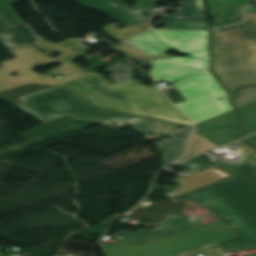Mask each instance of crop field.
Returning a JSON list of instances; mask_svg holds the SVG:
<instances>
[{
	"mask_svg": "<svg viewBox=\"0 0 256 256\" xmlns=\"http://www.w3.org/2000/svg\"><path fill=\"white\" fill-rule=\"evenodd\" d=\"M179 5V11H175L174 15L159 16L163 18L160 22L166 24L173 21L208 20L204 0H182Z\"/></svg>",
	"mask_w": 256,
	"mask_h": 256,
	"instance_id": "5142ce71",
	"label": "crop field"
},
{
	"mask_svg": "<svg viewBox=\"0 0 256 256\" xmlns=\"http://www.w3.org/2000/svg\"><path fill=\"white\" fill-rule=\"evenodd\" d=\"M21 35H23L30 42L40 39L30 27H28L24 22H20L19 26L14 27Z\"/></svg>",
	"mask_w": 256,
	"mask_h": 256,
	"instance_id": "730fd06b",
	"label": "crop field"
},
{
	"mask_svg": "<svg viewBox=\"0 0 256 256\" xmlns=\"http://www.w3.org/2000/svg\"><path fill=\"white\" fill-rule=\"evenodd\" d=\"M59 86L89 105L119 114L192 124L158 89L146 88L131 78L111 86L96 73Z\"/></svg>",
	"mask_w": 256,
	"mask_h": 256,
	"instance_id": "ac0d7876",
	"label": "crop field"
},
{
	"mask_svg": "<svg viewBox=\"0 0 256 256\" xmlns=\"http://www.w3.org/2000/svg\"><path fill=\"white\" fill-rule=\"evenodd\" d=\"M19 0H0V15L12 26L19 24L21 17L9 5Z\"/></svg>",
	"mask_w": 256,
	"mask_h": 256,
	"instance_id": "214f88e0",
	"label": "crop field"
},
{
	"mask_svg": "<svg viewBox=\"0 0 256 256\" xmlns=\"http://www.w3.org/2000/svg\"><path fill=\"white\" fill-rule=\"evenodd\" d=\"M199 253H202L203 256H210L211 254H213V256H221L218 243L209 245V246H205V247H201V248H197V249L187 251V252H184L181 254H177L176 256H196V254H199Z\"/></svg>",
	"mask_w": 256,
	"mask_h": 256,
	"instance_id": "00972430",
	"label": "crop field"
},
{
	"mask_svg": "<svg viewBox=\"0 0 256 256\" xmlns=\"http://www.w3.org/2000/svg\"><path fill=\"white\" fill-rule=\"evenodd\" d=\"M193 130V127H188L184 130L172 134L171 138L163 139V141L160 142H155L158 149L163 154L162 167L170 164L182 154L186 140Z\"/></svg>",
	"mask_w": 256,
	"mask_h": 256,
	"instance_id": "cbeb9de0",
	"label": "crop field"
},
{
	"mask_svg": "<svg viewBox=\"0 0 256 256\" xmlns=\"http://www.w3.org/2000/svg\"><path fill=\"white\" fill-rule=\"evenodd\" d=\"M195 134L220 146L236 140L241 135L240 120L237 110L234 109L196 125Z\"/></svg>",
	"mask_w": 256,
	"mask_h": 256,
	"instance_id": "28ad6ade",
	"label": "crop field"
},
{
	"mask_svg": "<svg viewBox=\"0 0 256 256\" xmlns=\"http://www.w3.org/2000/svg\"><path fill=\"white\" fill-rule=\"evenodd\" d=\"M172 85L187 100L176 106L196 124L234 109L230 95L211 71L179 80ZM218 98L223 100L217 101Z\"/></svg>",
	"mask_w": 256,
	"mask_h": 256,
	"instance_id": "f4fd0767",
	"label": "crop field"
},
{
	"mask_svg": "<svg viewBox=\"0 0 256 256\" xmlns=\"http://www.w3.org/2000/svg\"><path fill=\"white\" fill-rule=\"evenodd\" d=\"M0 26L2 28L10 27L1 17H0Z\"/></svg>",
	"mask_w": 256,
	"mask_h": 256,
	"instance_id": "1d83c4d3",
	"label": "crop field"
},
{
	"mask_svg": "<svg viewBox=\"0 0 256 256\" xmlns=\"http://www.w3.org/2000/svg\"><path fill=\"white\" fill-rule=\"evenodd\" d=\"M176 124L147 119L142 122L131 125L137 134L153 132L154 134L161 132L163 135L178 130Z\"/></svg>",
	"mask_w": 256,
	"mask_h": 256,
	"instance_id": "d9b57169",
	"label": "crop field"
},
{
	"mask_svg": "<svg viewBox=\"0 0 256 256\" xmlns=\"http://www.w3.org/2000/svg\"><path fill=\"white\" fill-rule=\"evenodd\" d=\"M118 51H120L121 53L127 55V56H130V57H135V56H143L145 55L144 53L138 51L137 49L129 46V45H120V46H115V47H112Z\"/></svg>",
	"mask_w": 256,
	"mask_h": 256,
	"instance_id": "eef30255",
	"label": "crop field"
},
{
	"mask_svg": "<svg viewBox=\"0 0 256 256\" xmlns=\"http://www.w3.org/2000/svg\"><path fill=\"white\" fill-rule=\"evenodd\" d=\"M159 49L163 50L164 52H168L167 48H159Z\"/></svg>",
	"mask_w": 256,
	"mask_h": 256,
	"instance_id": "120bbe31",
	"label": "crop field"
},
{
	"mask_svg": "<svg viewBox=\"0 0 256 256\" xmlns=\"http://www.w3.org/2000/svg\"><path fill=\"white\" fill-rule=\"evenodd\" d=\"M178 235L163 238L143 246H100L104 249L114 250L111 256H171ZM233 237L235 236L222 221L213 223L181 233L176 254Z\"/></svg>",
	"mask_w": 256,
	"mask_h": 256,
	"instance_id": "dd49c442",
	"label": "crop field"
},
{
	"mask_svg": "<svg viewBox=\"0 0 256 256\" xmlns=\"http://www.w3.org/2000/svg\"><path fill=\"white\" fill-rule=\"evenodd\" d=\"M180 165L184 166L185 168L189 169L190 171H192L194 173L213 166L212 163L206 161L205 159H203L199 156L196 158H193L191 160L182 162V163H180Z\"/></svg>",
	"mask_w": 256,
	"mask_h": 256,
	"instance_id": "a9b5d70f",
	"label": "crop field"
},
{
	"mask_svg": "<svg viewBox=\"0 0 256 256\" xmlns=\"http://www.w3.org/2000/svg\"><path fill=\"white\" fill-rule=\"evenodd\" d=\"M163 29H209L208 21L173 22L166 24Z\"/></svg>",
	"mask_w": 256,
	"mask_h": 256,
	"instance_id": "dafd665d",
	"label": "crop field"
},
{
	"mask_svg": "<svg viewBox=\"0 0 256 256\" xmlns=\"http://www.w3.org/2000/svg\"><path fill=\"white\" fill-rule=\"evenodd\" d=\"M105 70L112 74V77L110 78L115 82L137 75L136 73L132 72V69L122 62L117 63Z\"/></svg>",
	"mask_w": 256,
	"mask_h": 256,
	"instance_id": "92a150f3",
	"label": "crop field"
},
{
	"mask_svg": "<svg viewBox=\"0 0 256 256\" xmlns=\"http://www.w3.org/2000/svg\"><path fill=\"white\" fill-rule=\"evenodd\" d=\"M232 144L246 159L233 164L223 160L214 165L233 177L170 198L193 201L227 225L237 238L220 242L221 251L240 250L243 243L256 248V151L240 141Z\"/></svg>",
	"mask_w": 256,
	"mask_h": 256,
	"instance_id": "8a807250",
	"label": "crop field"
},
{
	"mask_svg": "<svg viewBox=\"0 0 256 256\" xmlns=\"http://www.w3.org/2000/svg\"><path fill=\"white\" fill-rule=\"evenodd\" d=\"M254 2V1H253ZM252 3V2H250ZM250 3H247V4H244V5H241V6H238V7H235L233 9H230V10H227L225 12H222V13H219V14H216L214 16H212V20H213V23H218V22H221V21H224V20H227V19H230L232 17H235V16H238V15H241L239 9L245 5H248Z\"/></svg>",
	"mask_w": 256,
	"mask_h": 256,
	"instance_id": "4177f3b9",
	"label": "crop field"
},
{
	"mask_svg": "<svg viewBox=\"0 0 256 256\" xmlns=\"http://www.w3.org/2000/svg\"><path fill=\"white\" fill-rule=\"evenodd\" d=\"M201 217L167 215L165 228L135 232L119 231L114 235L123 236L120 244H143L156 238L165 237L173 233L196 227Z\"/></svg>",
	"mask_w": 256,
	"mask_h": 256,
	"instance_id": "d1516ede",
	"label": "crop field"
},
{
	"mask_svg": "<svg viewBox=\"0 0 256 256\" xmlns=\"http://www.w3.org/2000/svg\"><path fill=\"white\" fill-rule=\"evenodd\" d=\"M211 67L209 48L188 57H170L154 59L152 78L154 81L169 82L182 77L208 70Z\"/></svg>",
	"mask_w": 256,
	"mask_h": 256,
	"instance_id": "5a996713",
	"label": "crop field"
},
{
	"mask_svg": "<svg viewBox=\"0 0 256 256\" xmlns=\"http://www.w3.org/2000/svg\"><path fill=\"white\" fill-rule=\"evenodd\" d=\"M62 89L60 87H52L19 97L23 102L19 106L43 124L66 115L76 119L92 120L103 124L115 120L126 125H131L146 119L129 116L121 117L90 108Z\"/></svg>",
	"mask_w": 256,
	"mask_h": 256,
	"instance_id": "412701ff",
	"label": "crop field"
},
{
	"mask_svg": "<svg viewBox=\"0 0 256 256\" xmlns=\"http://www.w3.org/2000/svg\"><path fill=\"white\" fill-rule=\"evenodd\" d=\"M229 176L230 175H228L227 173L213 166L190 176V178L180 177L175 179V181L182 187L177 188L173 192L167 193L166 196L171 197Z\"/></svg>",
	"mask_w": 256,
	"mask_h": 256,
	"instance_id": "22f410ed",
	"label": "crop field"
},
{
	"mask_svg": "<svg viewBox=\"0 0 256 256\" xmlns=\"http://www.w3.org/2000/svg\"><path fill=\"white\" fill-rule=\"evenodd\" d=\"M137 61H138V63H140L143 66L151 64V60L150 59L137 60Z\"/></svg>",
	"mask_w": 256,
	"mask_h": 256,
	"instance_id": "750c4746",
	"label": "crop field"
},
{
	"mask_svg": "<svg viewBox=\"0 0 256 256\" xmlns=\"http://www.w3.org/2000/svg\"><path fill=\"white\" fill-rule=\"evenodd\" d=\"M10 53L14 58L0 62V91L81 69L71 62L49 58L30 43L14 49ZM52 63H63L64 65L50 70L45 75L32 72L35 66L49 65ZM13 73L17 75L10 76Z\"/></svg>",
	"mask_w": 256,
	"mask_h": 256,
	"instance_id": "e52e79f7",
	"label": "crop field"
},
{
	"mask_svg": "<svg viewBox=\"0 0 256 256\" xmlns=\"http://www.w3.org/2000/svg\"><path fill=\"white\" fill-rule=\"evenodd\" d=\"M248 20L213 31L214 71L236 107L256 100V10Z\"/></svg>",
	"mask_w": 256,
	"mask_h": 256,
	"instance_id": "34b2d1b8",
	"label": "crop field"
},
{
	"mask_svg": "<svg viewBox=\"0 0 256 256\" xmlns=\"http://www.w3.org/2000/svg\"><path fill=\"white\" fill-rule=\"evenodd\" d=\"M24 37L18 34L12 28L2 29L0 27V44L8 51L28 43Z\"/></svg>",
	"mask_w": 256,
	"mask_h": 256,
	"instance_id": "733c2abd",
	"label": "crop field"
},
{
	"mask_svg": "<svg viewBox=\"0 0 256 256\" xmlns=\"http://www.w3.org/2000/svg\"><path fill=\"white\" fill-rule=\"evenodd\" d=\"M243 19H244V15H241V16L232 18L230 20H227V21H224V22L212 25V26H213V28H218V27H221V26H225V25H228V24H231V23H235V22L241 21Z\"/></svg>",
	"mask_w": 256,
	"mask_h": 256,
	"instance_id": "ae1a2a85",
	"label": "crop field"
},
{
	"mask_svg": "<svg viewBox=\"0 0 256 256\" xmlns=\"http://www.w3.org/2000/svg\"><path fill=\"white\" fill-rule=\"evenodd\" d=\"M212 1H215V0H208V3H209V2H212Z\"/></svg>",
	"mask_w": 256,
	"mask_h": 256,
	"instance_id": "d32e631a",
	"label": "crop field"
},
{
	"mask_svg": "<svg viewBox=\"0 0 256 256\" xmlns=\"http://www.w3.org/2000/svg\"><path fill=\"white\" fill-rule=\"evenodd\" d=\"M86 8L100 10L125 26L134 25L148 20L142 13L153 8L155 0H137L135 10L119 0H77Z\"/></svg>",
	"mask_w": 256,
	"mask_h": 256,
	"instance_id": "3316defc",
	"label": "crop field"
},
{
	"mask_svg": "<svg viewBox=\"0 0 256 256\" xmlns=\"http://www.w3.org/2000/svg\"><path fill=\"white\" fill-rule=\"evenodd\" d=\"M214 147L217 146L194 134L189 142L188 150L185 156L182 157L180 160L204 152L206 150L212 149Z\"/></svg>",
	"mask_w": 256,
	"mask_h": 256,
	"instance_id": "bc2a9ffb",
	"label": "crop field"
},
{
	"mask_svg": "<svg viewBox=\"0 0 256 256\" xmlns=\"http://www.w3.org/2000/svg\"><path fill=\"white\" fill-rule=\"evenodd\" d=\"M255 9H256V3L247 7V8H245L244 11H245V13H247V12L255 10Z\"/></svg>",
	"mask_w": 256,
	"mask_h": 256,
	"instance_id": "bd1437ed",
	"label": "crop field"
},
{
	"mask_svg": "<svg viewBox=\"0 0 256 256\" xmlns=\"http://www.w3.org/2000/svg\"><path fill=\"white\" fill-rule=\"evenodd\" d=\"M130 42L150 55L165 54L159 47L176 48L194 54L209 47L210 31H150Z\"/></svg>",
	"mask_w": 256,
	"mask_h": 256,
	"instance_id": "d8731c3e",
	"label": "crop field"
},
{
	"mask_svg": "<svg viewBox=\"0 0 256 256\" xmlns=\"http://www.w3.org/2000/svg\"><path fill=\"white\" fill-rule=\"evenodd\" d=\"M242 141H244V142H246V143L252 145L254 148H256V135L251 136V137H249V138H246V139H244V140H242Z\"/></svg>",
	"mask_w": 256,
	"mask_h": 256,
	"instance_id": "d3111659",
	"label": "crop field"
},
{
	"mask_svg": "<svg viewBox=\"0 0 256 256\" xmlns=\"http://www.w3.org/2000/svg\"><path fill=\"white\" fill-rule=\"evenodd\" d=\"M49 87H52V86H43V85H34V84L23 85V86L1 91L0 98L6 101L14 97H19V96L26 95V94L39 91L45 88H49Z\"/></svg>",
	"mask_w": 256,
	"mask_h": 256,
	"instance_id": "4a817a6b",
	"label": "crop field"
}]
</instances>
